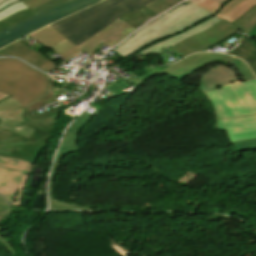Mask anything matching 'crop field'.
<instances>
[{
    "label": "crop field",
    "instance_id": "obj_25",
    "mask_svg": "<svg viewBox=\"0 0 256 256\" xmlns=\"http://www.w3.org/2000/svg\"><path fill=\"white\" fill-rule=\"evenodd\" d=\"M193 4L201 7L202 9L210 12L213 15L216 12H218V10L223 6L214 0H198V1L194 2Z\"/></svg>",
    "mask_w": 256,
    "mask_h": 256
},
{
    "label": "crop field",
    "instance_id": "obj_1",
    "mask_svg": "<svg viewBox=\"0 0 256 256\" xmlns=\"http://www.w3.org/2000/svg\"><path fill=\"white\" fill-rule=\"evenodd\" d=\"M219 20L192 3H183L147 24L112 51L126 58L138 51L142 56L160 54Z\"/></svg>",
    "mask_w": 256,
    "mask_h": 256
},
{
    "label": "crop field",
    "instance_id": "obj_17",
    "mask_svg": "<svg viewBox=\"0 0 256 256\" xmlns=\"http://www.w3.org/2000/svg\"><path fill=\"white\" fill-rule=\"evenodd\" d=\"M64 155L58 154L54 166L51 172L50 178V187H49V194H50V210H88V208L79 207L76 205L69 204L67 202L55 200L52 198V188L56 180L57 172L61 163V160Z\"/></svg>",
    "mask_w": 256,
    "mask_h": 256
},
{
    "label": "crop field",
    "instance_id": "obj_30",
    "mask_svg": "<svg viewBox=\"0 0 256 256\" xmlns=\"http://www.w3.org/2000/svg\"><path fill=\"white\" fill-rule=\"evenodd\" d=\"M193 1H195V0H188V2H193ZM216 1H218L219 3L224 5L226 3V1H229V0H216Z\"/></svg>",
    "mask_w": 256,
    "mask_h": 256
},
{
    "label": "crop field",
    "instance_id": "obj_11",
    "mask_svg": "<svg viewBox=\"0 0 256 256\" xmlns=\"http://www.w3.org/2000/svg\"><path fill=\"white\" fill-rule=\"evenodd\" d=\"M68 0H51L33 10L21 0H0V31Z\"/></svg>",
    "mask_w": 256,
    "mask_h": 256
},
{
    "label": "crop field",
    "instance_id": "obj_21",
    "mask_svg": "<svg viewBox=\"0 0 256 256\" xmlns=\"http://www.w3.org/2000/svg\"><path fill=\"white\" fill-rule=\"evenodd\" d=\"M12 210L13 208L10 207L0 196V222L4 221ZM0 243L3 244L13 256H17L15 250L1 236Z\"/></svg>",
    "mask_w": 256,
    "mask_h": 256
},
{
    "label": "crop field",
    "instance_id": "obj_20",
    "mask_svg": "<svg viewBox=\"0 0 256 256\" xmlns=\"http://www.w3.org/2000/svg\"><path fill=\"white\" fill-rule=\"evenodd\" d=\"M233 24L239 27L241 31L247 35L256 25V6Z\"/></svg>",
    "mask_w": 256,
    "mask_h": 256
},
{
    "label": "crop field",
    "instance_id": "obj_26",
    "mask_svg": "<svg viewBox=\"0 0 256 256\" xmlns=\"http://www.w3.org/2000/svg\"><path fill=\"white\" fill-rule=\"evenodd\" d=\"M20 104L13 98L0 93V113Z\"/></svg>",
    "mask_w": 256,
    "mask_h": 256
},
{
    "label": "crop field",
    "instance_id": "obj_28",
    "mask_svg": "<svg viewBox=\"0 0 256 256\" xmlns=\"http://www.w3.org/2000/svg\"><path fill=\"white\" fill-rule=\"evenodd\" d=\"M49 0H23L25 4H27L31 9L47 2Z\"/></svg>",
    "mask_w": 256,
    "mask_h": 256
},
{
    "label": "crop field",
    "instance_id": "obj_4",
    "mask_svg": "<svg viewBox=\"0 0 256 256\" xmlns=\"http://www.w3.org/2000/svg\"><path fill=\"white\" fill-rule=\"evenodd\" d=\"M49 87L46 76L15 59H0V92L24 106L41 97Z\"/></svg>",
    "mask_w": 256,
    "mask_h": 256
},
{
    "label": "crop field",
    "instance_id": "obj_7",
    "mask_svg": "<svg viewBox=\"0 0 256 256\" xmlns=\"http://www.w3.org/2000/svg\"><path fill=\"white\" fill-rule=\"evenodd\" d=\"M99 1L101 0H70L15 24L0 32V48Z\"/></svg>",
    "mask_w": 256,
    "mask_h": 256
},
{
    "label": "crop field",
    "instance_id": "obj_22",
    "mask_svg": "<svg viewBox=\"0 0 256 256\" xmlns=\"http://www.w3.org/2000/svg\"><path fill=\"white\" fill-rule=\"evenodd\" d=\"M227 63L237 68V70L240 72L244 81L255 79V76L243 61L232 56Z\"/></svg>",
    "mask_w": 256,
    "mask_h": 256
},
{
    "label": "crop field",
    "instance_id": "obj_10",
    "mask_svg": "<svg viewBox=\"0 0 256 256\" xmlns=\"http://www.w3.org/2000/svg\"><path fill=\"white\" fill-rule=\"evenodd\" d=\"M31 165L15 158L0 156V194L8 203H11L24 173L29 172Z\"/></svg>",
    "mask_w": 256,
    "mask_h": 256
},
{
    "label": "crop field",
    "instance_id": "obj_23",
    "mask_svg": "<svg viewBox=\"0 0 256 256\" xmlns=\"http://www.w3.org/2000/svg\"><path fill=\"white\" fill-rule=\"evenodd\" d=\"M181 0H153L147 7L150 8L155 13L159 14L170 7L176 5ZM161 8V9H160Z\"/></svg>",
    "mask_w": 256,
    "mask_h": 256
},
{
    "label": "crop field",
    "instance_id": "obj_19",
    "mask_svg": "<svg viewBox=\"0 0 256 256\" xmlns=\"http://www.w3.org/2000/svg\"><path fill=\"white\" fill-rule=\"evenodd\" d=\"M154 12H152L147 7H142L138 11L132 10L119 18L124 20L126 23L131 25L133 28H138L140 25H142L147 20L151 19L152 17L156 16Z\"/></svg>",
    "mask_w": 256,
    "mask_h": 256
},
{
    "label": "crop field",
    "instance_id": "obj_2",
    "mask_svg": "<svg viewBox=\"0 0 256 256\" xmlns=\"http://www.w3.org/2000/svg\"><path fill=\"white\" fill-rule=\"evenodd\" d=\"M26 110L20 104L0 114V155L35 163L60 111L50 108L32 117Z\"/></svg>",
    "mask_w": 256,
    "mask_h": 256
},
{
    "label": "crop field",
    "instance_id": "obj_16",
    "mask_svg": "<svg viewBox=\"0 0 256 256\" xmlns=\"http://www.w3.org/2000/svg\"><path fill=\"white\" fill-rule=\"evenodd\" d=\"M255 5L256 0H230L215 16L232 23Z\"/></svg>",
    "mask_w": 256,
    "mask_h": 256
},
{
    "label": "crop field",
    "instance_id": "obj_24",
    "mask_svg": "<svg viewBox=\"0 0 256 256\" xmlns=\"http://www.w3.org/2000/svg\"><path fill=\"white\" fill-rule=\"evenodd\" d=\"M235 153L256 151V139L231 143Z\"/></svg>",
    "mask_w": 256,
    "mask_h": 256
},
{
    "label": "crop field",
    "instance_id": "obj_13",
    "mask_svg": "<svg viewBox=\"0 0 256 256\" xmlns=\"http://www.w3.org/2000/svg\"><path fill=\"white\" fill-rule=\"evenodd\" d=\"M0 56H18L46 72L56 65L20 41L1 49Z\"/></svg>",
    "mask_w": 256,
    "mask_h": 256
},
{
    "label": "crop field",
    "instance_id": "obj_27",
    "mask_svg": "<svg viewBox=\"0 0 256 256\" xmlns=\"http://www.w3.org/2000/svg\"><path fill=\"white\" fill-rule=\"evenodd\" d=\"M50 93H51V92H50ZM51 96H54V95L48 94L46 97H44V98L41 99L40 101H38V102H36V103H34V104H32V105L26 107V108L29 110L28 112H29V113L34 112V111H36L37 109H39V108L45 106V105H46V104H45V101L48 100V98L51 97Z\"/></svg>",
    "mask_w": 256,
    "mask_h": 256
},
{
    "label": "crop field",
    "instance_id": "obj_3",
    "mask_svg": "<svg viewBox=\"0 0 256 256\" xmlns=\"http://www.w3.org/2000/svg\"><path fill=\"white\" fill-rule=\"evenodd\" d=\"M152 0H105L73 16L51 24L77 46L110 25L120 15Z\"/></svg>",
    "mask_w": 256,
    "mask_h": 256
},
{
    "label": "crop field",
    "instance_id": "obj_14",
    "mask_svg": "<svg viewBox=\"0 0 256 256\" xmlns=\"http://www.w3.org/2000/svg\"><path fill=\"white\" fill-rule=\"evenodd\" d=\"M237 80L232 70L226 66H216L201 76L202 94Z\"/></svg>",
    "mask_w": 256,
    "mask_h": 256
},
{
    "label": "crop field",
    "instance_id": "obj_6",
    "mask_svg": "<svg viewBox=\"0 0 256 256\" xmlns=\"http://www.w3.org/2000/svg\"><path fill=\"white\" fill-rule=\"evenodd\" d=\"M215 118H227L256 113V79L220 87L204 94Z\"/></svg>",
    "mask_w": 256,
    "mask_h": 256
},
{
    "label": "crop field",
    "instance_id": "obj_8",
    "mask_svg": "<svg viewBox=\"0 0 256 256\" xmlns=\"http://www.w3.org/2000/svg\"><path fill=\"white\" fill-rule=\"evenodd\" d=\"M231 56L223 55L219 53H198L191 55L178 63L160 71L157 68L143 69L147 74L139 77L134 83L136 88L140 89L142 84L154 77L160 75H166L175 81H179L191 74L192 72L198 70L199 68L212 63V62H222L226 63Z\"/></svg>",
    "mask_w": 256,
    "mask_h": 256
},
{
    "label": "crop field",
    "instance_id": "obj_18",
    "mask_svg": "<svg viewBox=\"0 0 256 256\" xmlns=\"http://www.w3.org/2000/svg\"><path fill=\"white\" fill-rule=\"evenodd\" d=\"M228 53L244 59L256 76V49L246 38L242 36L241 43Z\"/></svg>",
    "mask_w": 256,
    "mask_h": 256
},
{
    "label": "crop field",
    "instance_id": "obj_9",
    "mask_svg": "<svg viewBox=\"0 0 256 256\" xmlns=\"http://www.w3.org/2000/svg\"><path fill=\"white\" fill-rule=\"evenodd\" d=\"M238 29L222 19L209 29L183 40L170 49L183 57L193 52L206 51L234 34Z\"/></svg>",
    "mask_w": 256,
    "mask_h": 256
},
{
    "label": "crop field",
    "instance_id": "obj_5",
    "mask_svg": "<svg viewBox=\"0 0 256 256\" xmlns=\"http://www.w3.org/2000/svg\"><path fill=\"white\" fill-rule=\"evenodd\" d=\"M133 30L135 29L118 18L110 26L98 32L78 47L63 37L50 25L31 34L30 36L50 47L62 57L68 59L81 49L92 56L94 50L97 49L101 41L112 47Z\"/></svg>",
    "mask_w": 256,
    "mask_h": 256
},
{
    "label": "crop field",
    "instance_id": "obj_12",
    "mask_svg": "<svg viewBox=\"0 0 256 256\" xmlns=\"http://www.w3.org/2000/svg\"><path fill=\"white\" fill-rule=\"evenodd\" d=\"M214 129L225 130L228 142L256 138V115L219 119Z\"/></svg>",
    "mask_w": 256,
    "mask_h": 256
},
{
    "label": "crop field",
    "instance_id": "obj_15",
    "mask_svg": "<svg viewBox=\"0 0 256 256\" xmlns=\"http://www.w3.org/2000/svg\"><path fill=\"white\" fill-rule=\"evenodd\" d=\"M94 115L83 112L67 131L58 153L71 154L79 152V133Z\"/></svg>",
    "mask_w": 256,
    "mask_h": 256
},
{
    "label": "crop field",
    "instance_id": "obj_29",
    "mask_svg": "<svg viewBox=\"0 0 256 256\" xmlns=\"http://www.w3.org/2000/svg\"><path fill=\"white\" fill-rule=\"evenodd\" d=\"M249 37L256 36V27L248 34Z\"/></svg>",
    "mask_w": 256,
    "mask_h": 256
}]
</instances>
